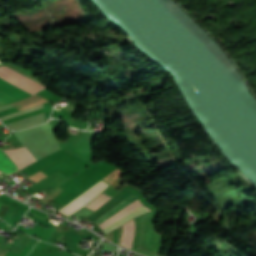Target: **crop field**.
<instances>
[{"label": "crop field", "instance_id": "obj_1", "mask_svg": "<svg viewBox=\"0 0 256 256\" xmlns=\"http://www.w3.org/2000/svg\"><path fill=\"white\" fill-rule=\"evenodd\" d=\"M0 77L20 87L21 89L34 94L44 88L45 86L27 78L26 76L6 67H0Z\"/></svg>", "mask_w": 256, "mask_h": 256}, {"label": "crop field", "instance_id": "obj_2", "mask_svg": "<svg viewBox=\"0 0 256 256\" xmlns=\"http://www.w3.org/2000/svg\"><path fill=\"white\" fill-rule=\"evenodd\" d=\"M109 184L99 181L79 197H77L74 201H72L67 206L63 207L59 212L69 216L77 211L79 208L83 207L86 203L90 202L94 199L99 193H101L104 189H106Z\"/></svg>", "mask_w": 256, "mask_h": 256}, {"label": "crop field", "instance_id": "obj_3", "mask_svg": "<svg viewBox=\"0 0 256 256\" xmlns=\"http://www.w3.org/2000/svg\"><path fill=\"white\" fill-rule=\"evenodd\" d=\"M19 169L14 162L8 157V155L0 149V171L8 176L17 172Z\"/></svg>", "mask_w": 256, "mask_h": 256}, {"label": "crop field", "instance_id": "obj_4", "mask_svg": "<svg viewBox=\"0 0 256 256\" xmlns=\"http://www.w3.org/2000/svg\"><path fill=\"white\" fill-rule=\"evenodd\" d=\"M146 208V207H145ZM143 208L140 207L132 212H130L129 214L125 215L124 217H122L121 219H119L118 221L114 222L113 224L109 225L108 227H106L105 229H103L105 231V233L107 234L109 231L116 229L117 227H119L120 225H122L123 223L127 222L128 220L134 218L137 215H141L144 214L146 212H148L146 209L148 208ZM149 210V209H148ZM151 211V210H149Z\"/></svg>", "mask_w": 256, "mask_h": 256}, {"label": "crop field", "instance_id": "obj_5", "mask_svg": "<svg viewBox=\"0 0 256 256\" xmlns=\"http://www.w3.org/2000/svg\"><path fill=\"white\" fill-rule=\"evenodd\" d=\"M141 205H143L139 199L136 200L135 202L131 203L130 205H128L127 207H125L124 209H122L121 211H119L117 214H115L113 217H111L110 219L106 220L105 222L101 223L99 226L103 229L106 226H108L110 223L118 220L119 218H121L122 216H124L125 214H127L128 212L140 207Z\"/></svg>", "mask_w": 256, "mask_h": 256}, {"label": "crop field", "instance_id": "obj_6", "mask_svg": "<svg viewBox=\"0 0 256 256\" xmlns=\"http://www.w3.org/2000/svg\"><path fill=\"white\" fill-rule=\"evenodd\" d=\"M136 199H138L137 197H135L133 194L131 196H129L127 199H125L123 202H121L120 204H118L117 206H115L114 208H112L111 210H109L107 213H105L103 216H101L95 223H97L98 225L105 221L106 219L110 218L111 216H113L115 213H117L119 210H121L122 208H124L125 206H127L128 204H130L131 202L135 201Z\"/></svg>", "mask_w": 256, "mask_h": 256}, {"label": "crop field", "instance_id": "obj_7", "mask_svg": "<svg viewBox=\"0 0 256 256\" xmlns=\"http://www.w3.org/2000/svg\"><path fill=\"white\" fill-rule=\"evenodd\" d=\"M110 198L112 197L102 192L91 203L87 204L85 207L95 210Z\"/></svg>", "mask_w": 256, "mask_h": 256}]
</instances>
